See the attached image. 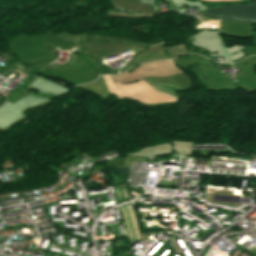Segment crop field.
Listing matches in <instances>:
<instances>
[{"label": "crop field", "instance_id": "crop-field-1", "mask_svg": "<svg viewBox=\"0 0 256 256\" xmlns=\"http://www.w3.org/2000/svg\"><path fill=\"white\" fill-rule=\"evenodd\" d=\"M205 17L256 24V0L246 6H218L208 8Z\"/></svg>", "mask_w": 256, "mask_h": 256}, {"label": "crop field", "instance_id": "crop-field-2", "mask_svg": "<svg viewBox=\"0 0 256 256\" xmlns=\"http://www.w3.org/2000/svg\"><path fill=\"white\" fill-rule=\"evenodd\" d=\"M125 208H126V211H127V215H128L129 221H130L131 228L134 229L133 225H132V221H131L130 215H129L128 208L127 207H125ZM121 210H122V213H123V217H124V220H125L126 227H127L128 232H129V235L132 236L131 231H130L129 226H128V222H127L126 216H125L124 209L122 208Z\"/></svg>", "mask_w": 256, "mask_h": 256}, {"label": "crop field", "instance_id": "crop-field-3", "mask_svg": "<svg viewBox=\"0 0 256 256\" xmlns=\"http://www.w3.org/2000/svg\"><path fill=\"white\" fill-rule=\"evenodd\" d=\"M174 57H177V48H173ZM183 55V47L178 48V56ZM184 55H185V49H184ZM170 57L172 58V48L170 49Z\"/></svg>", "mask_w": 256, "mask_h": 256}]
</instances>
